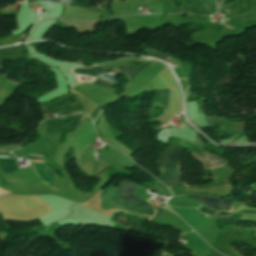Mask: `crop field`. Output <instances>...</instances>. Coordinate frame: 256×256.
I'll return each instance as SVG.
<instances>
[{
  "instance_id": "obj_1",
  "label": "crop field",
  "mask_w": 256,
  "mask_h": 256,
  "mask_svg": "<svg viewBox=\"0 0 256 256\" xmlns=\"http://www.w3.org/2000/svg\"><path fill=\"white\" fill-rule=\"evenodd\" d=\"M183 148L181 147H170L163 150V152L158 156L160 161L158 165H164L177 169L178 161L181 159V153ZM162 170V175L159 178L167 187L170 186H184L179 179L178 170L160 167Z\"/></svg>"
},
{
  "instance_id": "obj_2",
  "label": "crop field",
  "mask_w": 256,
  "mask_h": 256,
  "mask_svg": "<svg viewBox=\"0 0 256 256\" xmlns=\"http://www.w3.org/2000/svg\"><path fill=\"white\" fill-rule=\"evenodd\" d=\"M136 187H137V185L133 184L132 182H130L128 180L125 181L120 186L118 195H116V197L114 198V201L125 206V207H128L132 210H138L144 214L153 216L155 213V210L153 209V207L149 203L146 204L147 203L146 201L136 197V195L134 194ZM132 194H134V195H132ZM129 195H132V196L127 197ZM125 197H127V198H125ZM123 198H125L127 201H129L131 203H134V204H137L140 206H142L144 204H146V205L140 207V206H137V205L127 202Z\"/></svg>"
},
{
  "instance_id": "obj_3",
  "label": "crop field",
  "mask_w": 256,
  "mask_h": 256,
  "mask_svg": "<svg viewBox=\"0 0 256 256\" xmlns=\"http://www.w3.org/2000/svg\"><path fill=\"white\" fill-rule=\"evenodd\" d=\"M149 65L146 64H124L118 67H115L116 69H119L120 67L122 68H134V69H145L146 67H148ZM113 69V70H116ZM112 72V69H105V68H97V67H92V68H76L73 70L74 73H82V74H86V75H91L94 77H97L96 75H101L104 74L106 72ZM120 71V70H117ZM114 71L116 73H120ZM143 70H133V69H123L122 73L127 74V75H138L140 72H142Z\"/></svg>"
},
{
  "instance_id": "obj_4",
  "label": "crop field",
  "mask_w": 256,
  "mask_h": 256,
  "mask_svg": "<svg viewBox=\"0 0 256 256\" xmlns=\"http://www.w3.org/2000/svg\"><path fill=\"white\" fill-rule=\"evenodd\" d=\"M192 197L204 203L205 205H208L209 208H215L216 210H219V211L234 212L236 211V208H238L231 203L230 201L231 198L221 200V199H215V198H209V197H203V196H192Z\"/></svg>"
},
{
  "instance_id": "obj_5",
  "label": "crop field",
  "mask_w": 256,
  "mask_h": 256,
  "mask_svg": "<svg viewBox=\"0 0 256 256\" xmlns=\"http://www.w3.org/2000/svg\"><path fill=\"white\" fill-rule=\"evenodd\" d=\"M195 158L204 164V168L212 170L226 166L227 162L219 158V156L209 154L205 151H192Z\"/></svg>"
},
{
  "instance_id": "obj_6",
  "label": "crop field",
  "mask_w": 256,
  "mask_h": 256,
  "mask_svg": "<svg viewBox=\"0 0 256 256\" xmlns=\"http://www.w3.org/2000/svg\"><path fill=\"white\" fill-rule=\"evenodd\" d=\"M244 122L245 121L228 123L223 118H217L215 116L211 117L212 127H214L215 124H220V125H222L220 130L221 131H225L228 134H240V133H243ZM230 124H237V126L232 127Z\"/></svg>"
},
{
  "instance_id": "obj_7",
  "label": "crop field",
  "mask_w": 256,
  "mask_h": 256,
  "mask_svg": "<svg viewBox=\"0 0 256 256\" xmlns=\"http://www.w3.org/2000/svg\"><path fill=\"white\" fill-rule=\"evenodd\" d=\"M32 161V160H31ZM32 162H44V161H32ZM36 173L46 182L49 186L52 185V179L54 177V170L48 168L45 163H32Z\"/></svg>"
},
{
  "instance_id": "obj_8",
  "label": "crop field",
  "mask_w": 256,
  "mask_h": 256,
  "mask_svg": "<svg viewBox=\"0 0 256 256\" xmlns=\"http://www.w3.org/2000/svg\"><path fill=\"white\" fill-rule=\"evenodd\" d=\"M58 22L63 23L69 27L74 26L79 32L93 31V27L97 22H84V21H68L59 20Z\"/></svg>"
},
{
  "instance_id": "obj_9",
  "label": "crop field",
  "mask_w": 256,
  "mask_h": 256,
  "mask_svg": "<svg viewBox=\"0 0 256 256\" xmlns=\"http://www.w3.org/2000/svg\"><path fill=\"white\" fill-rule=\"evenodd\" d=\"M16 159L10 158H0V168L3 174H6L10 171L17 169V165L15 164Z\"/></svg>"
},
{
  "instance_id": "obj_10",
  "label": "crop field",
  "mask_w": 256,
  "mask_h": 256,
  "mask_svg": "<svg viewBox=\"0 0 256 256\" xmlns=\"http://www.w3.org/2000/svg\"><path fill=\"white\" fill-rule=\"evenodd\" d=\"M169 96V89L158 91V98L154 101V104L162 106L166 109Z\"/></svg>"
},
{
  "instance_id": "obj_11",
  "label": "crop field",
  "mask_w": 256,
  "mask_h": 256,
  "mask_svg": "<svg viewBox=\"0 0 256 256\" xmlns=\"http://www.w3.org/2000/svg\"><path fill=\"white\" fill-rule=\"evenodd\" d=\"M114 83V80L110 78L108 74L101 75L96 78V85L105 86L111 88Z\"/></svg>"
},
{
  "instance_id": "obj_12",
  "label": "crop field",
  "mask_w": 256,
  "mask_h": 256,
  "mask_svg": "<svg viewBox=\"0 0 256 256\" xmlns=\"http://www.w3.org/2000/svg\"><path fill=\"white\" fill-rule=\"evenodd\" d=\"M183 125H184V124H182L181 126H183ZM181 126H179V128H180ZM172 129H173V128H169V129H165V130L159 132L157 141H160V142H162V143H166V141L168 140L169 135H170Z\"/></svg>"
},
{
  "instance_id": "obj_13",
  "label": "crop field",
  "mask_w": 256,
  "mask_h": 256,
  "mask_svg": "<svg viewBox=\"0 0 256 256\" xmlns=\"http://www.w3.org/2000/svg\"><path fill=\"white\" fill-rule=\"evenodd\" d=\"M219 219L223 220L222 224H235L241 219L238 217L228 216V217H220Z\"/></svg>"
},
{
  "instance_id": "obj_14",
  "label": "crop field",
  "mask_w": 256,
  "mask_h": 256,
  "mask_svg": "<svg viewBox=\"0 0 256 256\" xmlns=\"http://www.w3.org/2000/svg\"><path fill=\"white\" fill-rule=\"evenodd\" d=\"M153 205H155V206H157V207L160 208V204H159V203H155V204H153ZM157 207H155V208H157ZM159 208H157V210H158V213H157V214L163 213V212H161V211L159 210Z\"/></svg>"
},
{
  "instance_id": "obj_15",
  "label": "crop field",
  "mask_w": 256,
  "mask_h": 256,
  "mask_svg": "<svg viewBox=\"0 0 256 256\" xmlns=\"http://www.w3.org/2000/svg\"><path fill=\"white\" fill-rule=\"evenodd\" d=\"M169 211H171L169 208H168V206L167 205H164ZM172 212V211H171ZM173 213V212H172Z\"/></svg>"
},
{
  "instance_id": "obj_16",
  "label": "crop field",
  "mask_w": 256,
  "mask_h": 256,
  "mask_svg": "<svg viewBox=\"0 0 256 256\" xmlns=\"http://www.w3.org/2000/svg\"><path fill=\"white\" fill-rule=\"evenodd\" d=\"M26 35H24L23 37H20V40L24 39Z\"/></svg>"
},
{
  "instance_id": "obj_17",
  "label": "crop field",
  "mask_w": 256,
  "mask_h": 256,
  "mask_svg": "<svg viewBox=\"0 0 256 256\" xmlns=\"http://www.w3.org/2000/svg\"><path fill=\"white\" fill-rule=\"evenodd\" d=\"M225 27H227V28H229V29H231V30H232V28H230V27H228V26H226V25H225Z\"/></svg>"
},
{
  "instance_id": "obj_18",
  "label": "crop field",
  "mask_w": 256,
  "mask_h": 256,
  "mask_svg": "<svg viewBox=\"0 0 256 256\" xmlns=\"http://www.w3.org/2000/svg\"><path fill=\"white\" fill-rule=\"evenodd\" d=\"M172 9V8H171ZM169 10H170V8H169ZM170 12H171V10H170Z\"/></svg>"
}]
</instances>
